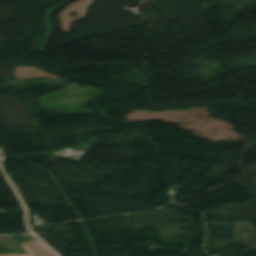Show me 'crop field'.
<instances>
[{
    "label": "crop field",
    "mask_w": 256,
    "mask_h": 256,
    "mask_svg": "<svg viewBox=\"0 0 256 256\" xmlns=\"http://www.w3.org/2000/svg\"><path fill=\"white\" fill-rule=\"evenodd\" d=\"M24 247L31 256H56L39 241L25 243Z\"/></svg>",
    "instance_id": "8a807250"
}]
</instances>
